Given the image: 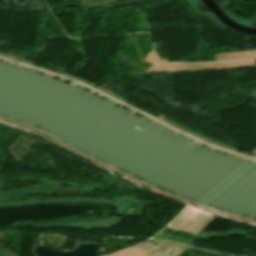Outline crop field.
I'll return each mask as SVG.
<instances>
[{
    "instance_id": "crop-field-1",
    "label": "crop field",
    "mask_w": 256,
    "mask_h": 256,
    "mask_svg": "<svg viewBox=\"0 0 256 256\" xmlns=\"http://www.w3.org/2000/svg\"><path fill=\"white\" fill-rule=\"evenodd\" d=\"M157 246H153V245ZM187 248L174 245L167 242H157L153 240H147L138 244L126 247L116 252L110 253L105 256H177L185 251ZM165 250L166 252H164Z\"/></svg>"
},
{
    "instance_id": "crop-field-2",
    "label": "crop field",
    "mask_w": 256,
    "mask_h": 256,
    "mask_svg": "<svg viewBox=\"0 0 256 256\" xmlns=\"http://www.w3.org/2000/svg\"><path fill=\"white\" fill-rule=\"evenodd\" d=\"M213 220L212 215L199 213L190 207H186L167 225V227L197 234Z\"/></svg>"
},
{
    "instance_id": "crop-field-3",
    "label": "crop field",
    "mask_w": 256,
    "mask_h": 256,
    "mask_svg": "<svg viewBox=\"0 0 256 256\" xmlns=\"http://www.w3.org/2000/svg\"><path fill=\"white\" fill-rule=\"evenodd\" d=\"M252 153H255L256 152V148L253 150V151H251Z\"/></svg>"
}]
</instances>
